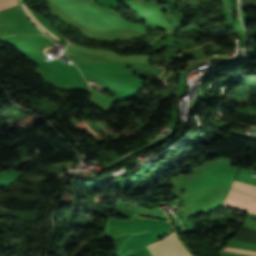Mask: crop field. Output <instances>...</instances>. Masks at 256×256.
Returning a JSON list of instances; mask_svg holds the SVG:
<instances>
[{"label": "crop field", "mask_w": 256, "mask_h": 256, "mask_svg": "<svg viewBox=\"0 0 256 256\" xmlns=\"http://www.w3.org/2000/svg\"><path fill=\"white\" fill-rule=\"evenodd\" d=\"M148 248L153 256H191L175 232L164 240L148 245Z\"/></svg>", "instance_id": "obj_2"}, {"label": "crop field", "mask_w": 256, "mask_h": 256, "mask_svg": "<svg viewBox=\"0 0 256 256\" xmlns=\"http://www.w3.org/2000/svg\"><path fill=\"white\" fill-rule=\"evenodd\" d=\"M228 251H234V252H240V253H245V254H251V255H256V252L253 251H245V250H239V249H234V248H227Z\"/></svg>", "instance_id": "obj_7"}, {"label": "crop field", "mask_w": 256, "mask_h": 256, "mask_svg": "<svg viewBox=\"0 0 256 256\" xmlns=\"http://www.w3.org/2000/svg\"><path fill=\"white\" fill-rule=\"evenodd\" d=\"M57 6H59L64 12L73 17L76 21L83 23L89 27H92L97 30H110L119 28H129L133 30H138L140 32H146L143 26L123 20L118 14L113 12L110 9H105L98 6L94 0H76L85 7L89 8L93 12L97 13L100 16L96 15L89 9L85 8L81 4L77 3L74 0H52Z\"/></svg>", "instance_id": "obj_1"}, {"label": "crop field", "mask_w": 256, "mask_h": 256, "mask_svg": "<svg viewBox=\"0 0 256 256\" xmlns=\"http://www.w3.org/2000/svg\"><path fill=\"white\" fill-rule=\"evenodd\" d=\"M25 9L27 10L28 14L30 15V17L33 19V21L40 27V29L42 31H45L46 33H48L49 35H51L54 39L56 40H61L60 38H58L56 35H54L52 32H50L48 29H46L41 23L40 21L28 10V8L25 6V4H22Z\"/></svg>", "instance_id": "obj_6"}, {"label": "crop field", "mask_w": 256, "mask_h": 256, "mask_svg": "<svg viewBox=\"0 0 256 256\" xmlns=\"http://www.w3.org/2000/svg\"><path fill=\"white\" fill-rule=\"evenodd\" d=\"M232 189L256 196V187L240 182H234Z\"/></svg>", "instance_id": "obj_5"}, {"label": "crop field", "mask_w": 256, "mask_h": 256, "mask_svg": "<svg viewBox=\"0 0 256 256\" xmlns=\"http://www.w3.org/2000/svg\"><path fill=\"white\" fill-rule=\"evenodd\" d=\"M223 207L256 214V197L231 189Z\"/></svg>", "instance_id": "obj_3"}, {"label": "crop field", "mask_w": 256, "mask_h": 256, "mask_svg": "<svg viewBox=\"0 0 256 256\" xmlns=\"http://www.w3.org/2000/svg\"><path fill=\"white\" fill-rule=\"evenodd\" d=\"M82 72H83L85 77L97 82L98 84H100V85H102L106 88H109V89H111V90H113L117 93H120V94L124 95L121 88L118 85H116L115 83L111 82L110 80H108V79H106V78H104V77H102L98 74L85 72V71H82Z\"/></svg>", "instance_id": "obj_4"}]
</instances>
